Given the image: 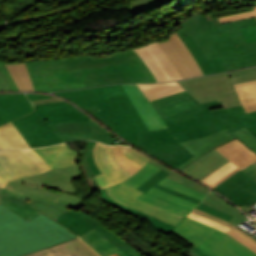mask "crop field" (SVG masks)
Returning a JSON list of instances; mask_svg holds the SVG:
<instances>
[{
	"mask_svg": "<svg viewBox=\"0 0 256 256\" xmlns=\"http://www.w3.org/2000/svg\"><path fill=\"white\" fill-rule=\"evenodd\" d=\"M33 111L24 93L0 94V125Z\"/></svg>",
	"mask_w": 256,
	"mask_h": 256,
	"instance_id": "obj_21",
	"label": "crop field"
},
{
	"mask_svg": "<svg viewBox=\"0 0 256 256\" xmlns=\"http://www.w3.org/2000/svg\"><path fill=\"white\" fill-rule=\"evenodd\" d=\"M226 110L241 120L245 126L256 136V111L246 113L242 105L228 108Z\"/></svg>",
	"mask_w": 256,
	"mask_h": 256,
	"instance_id": "obj_37",
	"label": "crop field"
},
{
	"mask_svg": "<svg viewBox=\"0 0 256 256\" xmlns=\"http://www.w3.org/2000/svg\"><path fill=\"white\" fill-rule=\"evenodd\" d=\"M156 44L173 64L182 79L203 75L197 62L176 33L171 35L168 41L156 42Z\"/></svg>",
	"mask_w": 256,
	"mask_h": 256,
	"instance_id": "obj_15",
	"label": "crop field"
},
{
	"mask_svg": "<svg viewBox=\"0 0 256 256\" xmlns=\"http://www.w3.org/2000/svg\"><path fill=\"white\" fill-rule=\"evenodd\" d=\"M35 91L70 90L111 83L157 82L134 50L109 58L90 56L61 60L25 62Z\"/></svg>",
	"mask_w": 256,
	"mask_h": 256,
	"instance_id": "obj_1",
	"label": "crop field"
},
{
	"mask_svg": "<svg viewBox=\"0 0 256 256\" xmlns=\"http://www.w3.org/2000/svg\"><path fill=\"white\" fill-rule=\"evenodd\" d=\"M158 184H161L163 186H166L168 188H171L173 190H176L178 192H181V193H184L186 195H189V196H192V197H195L197 199H204L206 195L200 193V192H197L189 187H186L178 182H175L167 177H165L163 180H161L160 182H158Z\"/></svg>",
	"mask_w": 256,
	"mask_h": 256,
	"instance_id": "obj_41",
	"label": "crop field"
},
{
	"mask_svg": "<svg viewBox=\"0 0 256 256\" xmlns=\"http://www.w3.org/2000/svg\"><path fill=\"white\" fill-rule=\"evenodd\" d=\"M24 256H99L78 237Z\"/></svg>",
	"mask_w": 256,
	"mask_h": 256,
	"instance_id": "obj_24",
	"label": "crop field"
},
{
	"mask_svg": "<svg viewBox=\"0 0 256 256\" xmlns=\"http://www.w3.org/2000/svg\"><path fill=\"white\" fill-rule=\"evenodd\" d=\"M79 237L101 256H106L116 250H119V248H117L94 228Z\"/></svg>",
	"mask_w": 256,
	"mask_h": 256,
	"instance_id": "obj_31",
	"label": "crop field"
},
{
	"mask_svg": "<svg viewBox=\"0 0 256 256\" xmlns=\"http://www.w3.org/2000/svg\"><path fill=\"white\" fill-rule=\"evenodd\" d=\"M27 157L41 170V172L47 170V164L39 157L37 153L31 149L22 150Z\"/></svg>",
	"mask_w": 256,
	"mask_h": 256,
	"instance_id": "obj_50",
	"label": "crop field"
},
{
	"mask_svg": "<svg viewBox=\"0 0 256 256\" xmlns=\"http://www.w3.org/2000/svg\"><path fill=\"white\" fill-rule=\"evenodd\" d=\"M203 105L179 117L164 121L169 129L141 133L140 150L175 168L193 157L177 142L198 138L226 127L231 132L244 127L242 122L225 109L214 112L208 110L222 105L221 102L215 101Z\"/></svg>",
	"mask_w": 256,
	"mask_h": 256,
	"instance_id": "obj_2",
	"label": "crop field"
},
{
	"mask_svg": "<svg viewBox=\"0 0 256 256\" xmlns=\"http://www.w3.org/2000/svg\"><path fill=\"white\" fill-rule=\"evenodd\" d=\"M73 237L43 213L28 223L0 205V256H21Z\"/></svg>",
	"mask_w": 256,
	"mask_h": 256,
	"instance_id": "obj_5",
	"label": "crop field"
},
{
	"mask_svg": "<svg viewBox=\"0 0 256 256\" xmlns=\"http://www.w3.org/2000/svg\"><path fill=\"white\" fill-rule=\"evenodd\" d=\"M235 167H237V166H235L233 163L230 162V163L224 165L222 168H220L216 172H214L212 175H210L206 179L202 180L201 182L209 186L212 183H214L216 180H218L219 178H221L222 176H224L225 174L230 172Z\"/></svg>",
	"mask_w": 256,
	"mask_h": 256,
	"instance_id": "obj_48",
	"label": "crop field"
},
{
	"mask_svg": "<svg viewBox=\"0 0 256 256\" xmlns=\"http://www.w3.org/2000/svg\"><path fill=\"white\" fill-rule=\"evenodd\" d=\"M253 9L254 10L247 11V12H242V13H238V14L220 17L219 20L221 23H223V22H228V21H233V20H238V19L254 17V16H256V7H254Z\"/></svg>",
	"mask_w": 256,
	"mask_h": 256,
	"instance_id": "obj_51",
	"label": "crop field"
},
{
	"mask_svg": "<svg viewBox=\"0 0 256 256\" xmlns=\"http://www.w3.org/2000/svg\"><path fill=\"white\" fill-rule=\"evenodd\" d=\"M240 170L238 167L236 169H234L233 171H231L230 173H228L227 175H225L224 177H222L221 179H219L218 181H216L214 184H212L210 187H214L217 184H219L221 181H223L225 178H227L228 176L232 175L233 173H235L236 171ZM226 180V179H225Z\"/></svg>",
	"mask_w": 256,
	"mask_h": 256,
	"instance_id": "obj_63",
	"label": "crop field"
},
{
	"mask_svg": "<svg viewBox=\"0 0 256 256\" xmlns=\"http://www.w3.org/2000/svg\"><path fill=\"white\" fill-rule=\"evenodd\" d=\"M198 209H201V210H203V211H206V212H209V213H211V214H214V215H216V216H218V217H220V218H222V219H224V220H226V221H228L229 219H231V217L230 216H228V215H226V214H224V213H222V212H220V211H217V210H215V209H213V208H211V207H208V206H206V205H204V204H200L198 207H197ZM208 213V214H209ZM213 215V216H214Z\"/></svg>",
	"mask_w": 256,
	"mask_h": 256,
	"instance_id": "obj_56",
	"label": "crop field"
},
{
	"mask_svg": "<svg viewBox=\"0 0 256 256\" xmlns=\"http://www.w3.org/2000/svg\"><path fill=\"white\" fill-rule=\"evenodd\" d=\"M139 200H142L144 202H147L152 205L158 206L160 208L166 209L168 211L174 212L176 214L182 215L184 217L190 212V210H188V209L182 208V207L172 204L170 202H167L162 199L152 197V196H149L146 194H144L142 197H140Z\"/></svg>",
	"mask_w": 256,
	"mask_h": 256,
	"instance_id": "obj_38",
	"label": "crop field"
},
{
	"mask_svg": "<svg viewBox=\"0 0 256 256\" xmlns=\"http://www.w3.org/2000/svg\"><path fill=\"white\" fill-rule=\"evenodd\" d=\"M66 141L93 139L111 144V135L106 129L91 119V122L50 124Z\"/></svg>",
	"mask_w": 256,
	"mask_h": 256,
	"instance_id": "obj_16",
	"label": "crop field"
},
{
	"mask_svg": "<svg viewBox=\"0 0 256 256\" xmlns=\"http://www.w3.org/2000/svg\"><path fill=\"white\" fill-rule=\"evenodd\" d=\"M19 91H33L32 83L24 63L7 64Z\"/></svg>",
	"mask_w": 256,
	"mask_h": 256,
	"instance_id": "obj_35",
	"label": "crop field"
},
{
	"mask_svg": "<svg viewBox=\"0 0 256 256\" xmlns=\"http://www.w3.org/2000/svg\"><path fill=\"white\" fill-rule=\"evenodd\" d=\"M181 40L198 62L204 75L227 71L222 57L207 59L192 35L182 37Z\"/></svg>",
	"mask_w": 256,
	"mask_h": 256,
	"instance_id": "obj_25",
	"label": "crop field"
},
{
	"mask_svg": "<svg viewBox=\"0 0 256 256\" xmlns=\"http://www.w3.org/2000/svg\"><path fill=\"white\" fill-rule=\"evenodd\" d=\"M240 207L256 209V162L214 187Z\"/></svg>",
	"mask_w": 256,
	"mask_h": 256,
	"instance_id": "obj_11",
	"label": "crop field"
},
{
	"mask_svg": "<svg viewBox=\"0 0 256 256\" xmlns=\"http://www.w3.org/2000/svg\"><path fill=\"white\" fill-rule=\"evenodd\" d=\"M26 95L28 96V98L30 100L46 98V97H52V96L41 95V94H32V93H27Z\"/></svg>",
	"mask_w": 256,
	"mask_h": 256,
	"instance_id": "obj_62",
	"label": "crop field"
},
{
	"mask_svg": "<svg viewBox=\"0 0 256 256\" xmlns=\"http://www.w3.org/2000/svg\"><path fill=\"white\" fill-rule=\"evenodd\" d=\"M169 0H134L130 2L132 5L126 7L132 16L153 8L161 3ZM162 5V4H161Z\"/></svg>",
	"mask_w": 256,
	"mask_h": 256,
	"instance_id": "obj_42",
	"label": "crop field"
},
{
	"mask_svg": "<svg viewBox=\"0 0 256 256\" xmlns=\"http://www.w3.org/2000/svg\"><path fill=\"white\" fill-rule=\"evenodd\" d=\"M167 177H169V178H171V179H173V180H175V181H178V182H180V183H182V184H184V185H186V186H189V187H191V188H193V189H195V190H197V191H200V192H202V193H204V194L207 195V192H204V191H202V190H200V189H198V188H196V187H194V186H192V185H190V184H188V183L182 181V180H181L180 178H178V177H175V176H173V175H171V174H169Z\"/></svg>",
	"mask_w": 256,
	"mask_h": 256,
	"instance_id": "obj_60",
	"label": "crop field"
},
{
	"mask_svg": "<svg viewBox=\"0 0 256 256\" xmlns=\"http://www.w3.org/2000/svg\"><path fill=\"white\" fill-rule=\"evenodd\" d=\"M167 174V172H165L164 170H160L159 172H157L155 175H153L151 178H149L146 182H144L142 185H140L137 189L142 191V192H146L149 188H151L152 186L156 187V188H159L161 190H164V191H167L169 193H172V194H175V195H178V196H181L183 198H186V199H189L197 204L200 203V200H197V199H194L192 197H189V196H186V195H183L181 193H178L176 191H173L171 189H168L166 187H163L161 185H158L156 184L158 181H160L161 179H163ZM188 200V201H189Z\"/></svg>",
	"mask_w": 256,
	"mask_h": 256,
	"instance_id": "obj_36",
	"label": "crop field"
},
{
	"mask_svg": "<svg viewBox=\"0 0 256 256\" xmlns=\"http://www.w3.org/2000/svg\"><path fill=\"white\" fill-rule=\"evenodd\" d=\"M128 96L142 117L149 130L165 128L166 125L137 88L136 85H123Z\"/></svg>",
	"mask_w": 256,
	"mask_h": 256,
	"instance_id": "obj_23",
	"label": "crop field"
},
{
	"mask_svg": "<svg viewBox=\"0 0 256 256\" xmlns=\"http://www.w3.org/2000/svg\"><path fill=\"white\" fill-rule=\"evenodd\" d=\"M188 217L193 218V219H196V220L201 221V222H204V223L209 224V225H211V226L217 227V228L223 230L224 232L227 231V230H229L228 228H225V227H222V226H220V225H217V224H215V223H213V222H210V221H207V220H204V219H201V218L192 216V215H190V214L188 215Z\"/></svg>",
	"mask_w": 256,
	"mask_h": 256,
	"instance_id": "obj_59",
	"label": "crop field"
},
{
	"mask_svg": "<svg viewBox=\"0 0 256 256\" xmlns=\"http://www.w3.org/2000/svg\"><path fill=\"white\" fill-rule=\"evenodd\" d=\"M93 155L98 167L103 172L94 176L100 189L115 185L133 175L118 164L114 157L113 146L96 142Z\"/></svg>",
	"mask_w": 256,
	"mask_h": 256,
	"instance_id": "obj_14",
	"label": "crop field"
},
{
	"mask_svg": "<svg viewBox=\"0 0 256 256\" xmlns=\"http://www.w3.org/2000/svg\"><path fill=\"white\" fill-rule=\"evenodd\" d=\"M99 193H100V197H101V199H102L103 201H105V202L108 203V204L115 205V206L119 207L120 209H122V210H124V211H126V212H128V213H130V214H132L133 216H135L137 213H139V214H143V215H146V216L151 217V215H147V214H144V213L135 211V210H133V209H130V208H128V207H126V206L120 204V203H117V202L113 201V200L106 194L105 190H100Z\"/></svg>",
	"mask_w": 256,
	"mask_h": 256,
	"instance_id": "obj_49",
	"label": "crop field"
},
{
	"mask_svg": "<svg viewBox=\"0 0 256 256\" xmlns=\"http://www.w3.org/2000/svg\"><path fill=\"white\" fill-rule=\"evenodd\" d=\"M236 137L256 153V137L246 127L233 133H231L229 129L226 128L199 139L179 142V144L182 145L194 157L178 166L176 169L180 171L183 170L188 165L209 152L211 149L225 144Z\"/></svg>",
	"mask_w": 256,
	"mask_h": 256,
	"instance_id": "obj_10",
	"label": "crop field"
},
{
	"mask_svg": "<svg viewBox=\"0 0 256 256\" xmlns=\"http://www.w3.org/2000/svg\"><path fill=\"white\" fill-rule=\"evenodd\" d=\"M80 177L82 175L78 166H74L13 180L8 182L6 187L57 200L61 193L25 186L23 183L39 184L77 195L78 191L73 186L72 179Z\"/></svg>",
	"mask_w": 256,
	"mask_h": 256,
	"instance_id": "obj_9",
	"label": "crop field"
},
{
	"mask_svg": "<svg viewBox=\"0 0 256 256\" xmlns=\"http://www.w3.org/2000/svg\"><path fill=\"white\" fill-rule=\"evenodd\" d=\"M2 196L4 201L2 205L28 222L38 216L40 213H42L23 199L15 196L10 191L6 190L5 188L3 190Z\"/></svg>",
	"mask_w": 256,
	"mask_h": 256,
	"instance_id": "obj_26",
	"label": "crop field"
},
{
	"mask_svg": "<svg viewBox=\"0 0 256 256\" xmlns=\"http://www.w3.org/2000/svg\"><path fill=\"white\" fill-rule=\"evenodd\" d=\"M235 165H237L241 170L256 161V154L252 151L242 155L239 152L234 154L233 156L227 158Z\"/></svg>",
	"mask_w": 256,
	"mask_h": 256,
	"instance_id": "obj_45",
	"label": "crop field"
},
{
	"mask_svg": "<svg viewBox=\"0 0 256 256\" xmlns=\"http://www.w3.org/2000/svg\"><path fill=\"white\" fill-rule=\"evenodd\" d=\"M87 143H88V146H87L86 152L84 154L83 162H84L85 167H86V169H87V171H88V173L91 177L93 175L101 173V171L96 166L95 161H94L93 156H92V151H93L95 141H87Z\"/></svg>",
	"mask_w": 256,
	"mask_h": 256,
	"instance_id": "obj_43",
	"label": "crop field"
},
{
	"mask_svg": "<svg viewBox=\"0 0 256 256\" xmlns=\"http://www.w3.org/2000/svg\"><path fill=\"white\" fill-rule=\"evenodd\" d=\"M109 256H118L116 253L112 254V255H109Z\"/></svg>",
	"mask_w": 256,
	"mask_h": 256,
	"instance_id": "obj_65",
	"label": "crop field"
},
{
	"mask_svg": "<svg viewBox=\"0 0 256 256\" xmlns=\"http://www.w3.org/2000/svg\"><path fill=\"white\" fill-rule=\"evenodd\" d=\"M158 170H160V168H158L150 163H147L141 170H139L137 173H135L132 177H130L126 181L130 185H132L134 188H137L140 184H142L144 181H146L149 177H151Z\"/></svg>",
	"mask_w": 256,
	"mask_h": 256,
	"instance_id": "obj_39",
	"label": "crop field"
},
{
	"mask_svg": "<svg viewBox=\"0 0 256 256\" xmlns=\"http://www.w3.org/2000/svg\"><path fill=\"white\" fill-rule=\"evenodd\" d=\"M30 148L12 122L0 126V150Z\"/></svg>",
	"mask_w": 256,
	"mask_h": 256,
	"instance_id": "obj_28",
	"label": "crop field"
},
{
	"mask_svg": "<svg viewBox=\"0 0 256 256\" xmlns=\"http://www.w3.org/2000/svg\"><path fill=\"white\" fill-rule=\"evenodd\" d=\"M150 103L163 121L202 106L198 100L186 91Z\"/></svg>",
	"mask_w": 256,
	"mask_h": 256,
	"instance_id": "obj_18",
	"label": "crop field"
},
{
	"mask_svg": "<svg viewBox=\"0 0 256 256\" xmlns=\"http://www.w3.org/2000/svg\"><path fill=\"white\" fill-rule=\"evenodd\" d=\"M150 163H152V164H154V165H156V166H158V167H160V168L166 170L167 172H169V173H171V174H173V175H176V176L182 178L184 181H186V182H188V183H190V184H192V185H194V186H196V187H198V188H200V189H202V190H204V191L207 190V188H205V187H203V186H201V185H199V184H197V183H195V182H193V181H191V180H189V179H187V178H185V177L179 175L178 173H176V172H174V171H172V170L166 168L165 166H163V165H161V164H159V163H157V162H155V161H153V160H152Z\"/></svg>",
	"mask_w": 256,
	"mask_h": 256,
	"instance_id": "obj_55",
	"label": "crop field"
},
{
	"mask_svg": "<svg viewBox=\"0 0 256 256\" xmlns=\"http://www.w3.org/2000/svg\"><path fill=\"white\" fill-rule=\"evenodd\" d=\"M4 185L2 184V182L0 181V187L2 188Z\"/></svg>",
	"mask_w": 256,
	"mask_h": 256,
	"instance_id": "obj_66",
	"label": "crop field"
},
{
	"mask_svg": "<svg viewBox=\"0 0 256 256\" xmlns=\"http://www.w3.org/2000/svg\"><path fill=\"white\" fill-rule=\"evenodd\" d=\"M55 220L60 222L62 225L70 229L78 236L94 227L129 256L140 255L133 247L124 242L122 239H120L117 235L104 227L98 221L77 210L71 209L69 212L62 214L59 218Z\"/></svg>",
	"mask_w": 256,
	"mask_h": 256,
	"instance_id": "obj_13",
	"label": "crop field"
},
{
	"mask_svg": "<svg viewBox=\"0 0 256 256\" xmlns=\"http://www.w3.org/2000/svg\"><path fill=\"white\" fill-rule=\"evenodd\" d=\"M123 153L127 156L128 159L139 164L142 167L147 162L152 160V159L148 158L147 156L143 155L142 153L138 152L137 150L130 148V147L123 146Z\"/></svg>",
	"mask_w": 256,
	"mask_h": 256,
	"instance_id": "obj_47",
	"label": "crop field"
},
{
	"mask_svg": "<svg viewBox=\"0 0 256 256\" xmlns=\"http://www.w3.org/2000/svg\"><path fill=\"white\" fill-rule=\"evenodd\" d=\"M132 186V185H131ZM126 181L106 189L114 200L138 211L151 214L165 222L177 225L184 217L137 200L143 193L131 187Z\"/></svg>",
	"mask_w": 256,
	"mask_h": 256,
	"instance_id": "obj_12",
	"label": "crop field"
},
{
	"mask_svg": "<svg viewBox=\"0 0 256 256\" xmlns=\"http://www.w3.org/2000/svg\"><path fill=\"white\" fill-rule=\"evenodd\" d=\"M33 150L45 160L50 170L76 165L78 156L81 155L70 149L66 143Z\"/></svg>",
	"mask_w": 256,
	"mask_h": 256,
	"instance_id": "obj_22",
	"label": "crop field"
},
{
	"mask_svg": "<svg viewBox=\"0 0 256 256\" xmlns=\"http://www.w3.org/2000/svg\"><path fill=\"white\" fill-rule=\"evenodd\" d=\"M89 114L99 110L97 106L85 109Z\"/></svg>",
	"mask_w": 256,
	"mask_h": 256,
	"instance_id": "obj_64",
	"label": "crop field"
},
{
	"mask_svg": "<svg viewBox=\"0 0 256 256\" xmlns=\"http://www.w3.org/2000/svg\"><path fill=\"white\" fill-rule=\"evenodd\" d=\"M220 153H222L225 157L221 160L217 161L215 164H213L208 169L204 170L201 174H199L197 177L193 178L195 180H202L209 176L211 173L219 169L221 166L229 162L226 158L231 156L232 154L236 152H241L242 154L250 151L249 148H247L241 141H239L237 138L225 145H222L218 148H216Z\"/></svg>",
	"mask_w": 256,
	"mask_h": 256,
	"instance_id": "obj_27",
	"label": "crop field"
},
{
	"mask_svg": "<svg viewBox=\"0 0 256 256\" xmlns=\"http://www.w3.org/2000/svg\"><path fill=\"white\" fill-rule=\"evenodd\" d=\"M56 94L73 101L81 108L97 105L101 111L91 115L135 147L138 146L139 131L148 130L122 85L86 88Z\"/></svg>",
	"mask_w": 256,
	"mask_h": 256,
	"instance_id": "obj_4",
	"label": "crop field"
},
{
	"mask_svg": "<svg viewBox=\"0 0 256 256\" xmlns=\"http://www.w3.org/2000/svg\"><path fill=\"white\" fill-rule=\"evenodd\" d=\"M147 193L155 195V196L160 197V198H163L165 200H168L170 202H173L175 204H178V205L183 206L185 208H188L190 210H193L197 206V204H195L191 201H188V200L183 199L181 197H178V196L169 194L167 192L161 191V190L156 189L154 187H152L150 190H148Z\"/></svg>",
	"mask_w": 256,
	"mask_h": 256,
	"instance_id": "obj_40",
	"label": "crop field"
},
{
	"mask_svg": "<svg viewBox=\"0 0 256 256\" xmlns=\"http://www.w3.org/2000/svg\"><path fill=\"white\" fill-rule=\"evenodd\" d=\"M179 83L201 103L218 100L222 101L225 108L241 104L228 73L203 76Z\"/></svg>",
	"mask_w": 256,
	"mask_h": 256,
	"instance_id": "obj_8",
	"label": "crop field"
},
{
	"mask_svg": "<svg viewBox=\"0 0 256 256\" xmlns=\"http://www.w3.org/2000/svg\"><path fill=\"white\" fill-rule=\"evenodd\" d=\"M2 189L0 188V191H1ZM0 203H1V197H0Z\"/></svg>",
	"mask_w": 256,
	"mask_h": 256,
	"instance_id": "obj_67",
	"label": "crop field"
},
{
	"mask_svg": "<svg viewBox=\"0 0 256 256\" xmlns=\"http://www.w3.org/2000/svg\"><path fill=\"white\" fill-rule=\"evenodd\" d=\"M0 91H11L3 76L0 74Z\"/></svg>",
	"mask_w": 256,
	"mask_h": 256,
	"instance_id": "obj_61",
	"label": "crop field"
},
{
	"mask_svg": "<svg viewBox=\"0 0 256 256\" xmlns=\"http://www.w3.org/2000/svg\"><path fill=\"white\" fill-rule=\"evenodd\" d=\"M114 151H115V157L118 160L119 164L123 166L125 169L130 171L131 173L137 172L140 168L139 165L131 162L126 158V156L123 155L122 153V146H114Z\"/></svg>",
	"mask_w": 256,
	"mask_h": 256,
	"instance_id": "obj_46",
	"label": "crop field"
},
{
	"mask_svg": "<svg viewBox=\"0 0 256 256\" xmlns=\"http://www.w3.org/2000/svg\"><path fill=\"white\" fill-rule=\"evenodd\" d=\"M192 212L231 227L232 229L226 233L256 252V240L252 239L251 237H249L248 235L243 233L241 230H239L235 226L231 225L230 223H228L216 216H213V215L203 212L201 210L195 209Z\"/></svg>",
	"mask_w": 256,
	"mask_h": 256,
	"instance_id": "obj_32",
	"label": "crop field"
},
{
	"mask_svg": "<svg viewBox=\"0 0 256 256\" xmlns=\"http://www.w3.org/2000/svg\"><path fill=\"white\" fill-rule=\"evenodd\" d=\"M148 222H150L153 227H155V228H157V229L163 231V232L166 233V234H167L171 229H173V228L175 227V226L170 225V224H168V223H165V222H163V221H161V220H159V219H157V218H155V217H153V216L148 219Z\"/></svg>",
	"mask_w": 256,
	"mask_h": 256,
	"instance_id": "obj_52",
	"label": "crop field"
},
{
	"mask_svg": "<svg viewBox=\"0 0 256 256\" xmlns=\"http://www.w3.org/2000/svg\"><path fill=\"white\" fill-rule=\"evenodd\" d=\"M0 72L4 76L5 80L7 81L8 85L12 89V91H18L6 65L4 63H0Z\"/></svg>",
	"mask_w": 256,
	"mask_h": 256,
	"instance_id": "obj_54",
	"label": "crop field"
},
{
	"mask_svg": "<svg viewBox=\"0 0 256 256\" xmlns=\"http://www.w3.org/2000/svg\"><path fill=\"white\" fill-rule=\"evenodd\" d=\"M184 254H186L188 256H208L207 254H205L204 252H202L201 250H199L195 246H193L190 250H188Z\"/></svg>",
	"mask_w": 256,
	"mask_h": 256,
	"instance_id": "obj_58",
	"label": "crop field"
},
{
	"mask_svg": "<svg viewBox=\"0 0 256 256\" xmlns=\"http://www.w3.org/2000/svg\"><path fill=\"white\" fill-rule=\"evenodd\" d=\"M228 73L234 84L256 80V67L244 70L231 71Z\"/></svg>",
	"mask_w": 256,
	"mask_h": 256,
	"instance_id": "obj_44",
	"label": "crop field"
},
{
	"mask_svg": "<svg viewBox=\"0 0 256 256\" xmlns=\"http://www.w3.org/2000/svg\"><path fill=\"white\" fill-rule=\"evenodd\" d=\"M35 108L36 112L12 121L31 147L63 142L48 123L90 121V117L67 102Z\"/></svg>",
	"mask_w": 256,
	"mask_h": 256,
	"instance_id": "obj_6",
	"label": "crop field"
},
{
	"mask_svg": "<svg viewBox=\"0 0 256 256\" xmlns=\"http://www.w3.org/2000/svg\"><path fill=\"white\" fill-rule=\"evenodd\" d=\"M247 112L256 110V81L234 85Z\"/></svg>",
	"mask_w": 256,
	"mask_h": 256,
	"instance_id": "obj_33",
	"label": "crop field"
},
{
	"mask_svg": "<svg viewBox=\"0 0 256 256\" xmlns=\"http://www.w3.org/2000/svg\"><path fill=\"white\" fill-rule=\"evenodd\" d=\"M222 157V154L213 149L181 172L193 178Z\"/></svg>",
	"mask_w": 256,
	"mask_h": 256,
	"instance_id": "obj_34",
	"label": "crop field"
},
{
	"mask_svg": "<svg viewBox=\"0 0 256 256\" xmlns=\"http://www.w3.org/2000/svg\"><path fill=\"white\" fill-rule=\"evenodd\" d=\"M63 100V99H62ZM62 100L52 97V98H46V99H40V100H34L32 101L33 105L37 104H45V103H53V102H61Z\"/></svg>",
	"mask_w": 256,
	"mask_h": 256,
	"instance_id": "obj_57",
	"label": "crop field"
},
{
	"mask_svg": "<svg viewBox=\"0 0 256 256\" xmlns=\"http://www.w3.org/2000/svg\"><path fill=\"white\" fill-rule=\"evenodd\" d=\"M203 203L233 216L234 218L228 222L232 223L235 226L247 220V218L239 210H237L229 201L225 200L224 198L218 196L213 192H210L207 195V197L203 200Z\"/></svg>",
	"mask_w": 256,
	"mask_h": 256,
	"instance_id": "obj_30",
	"label": "crop field"
},
{
	"mask_svg": "<svg viewBox=\"0 0 256 256\" xmlns=\"http://www.w3.org/2000/svg\"><path fill=\"white\" fill-rule=\"evenodd\" d=\"M11 191L17 196L33 203L54 219L59 217L62 213L70 210L71 208L79 210V208L84 203L83 200L77 198V196L68 193L61 194L58 200L54 201L27 193H22L14 190Z\"/></svg>",
	"mask_w": 256,
	"mask_h": 256,
	"instance_id": "obj_19",
	"label": "crop field"
},
{
	"mask_svg": "<svg viewBox=\"0 0 256 256\" xmlns=\"http://www.w3.org/2000/svg\"><path fill=\"white\" fill-rule=\"evenodd\" d=\"M256 25V17L220 24L212 15L184 23L179 37L193 34L207 58L222 55L227 70L256 65V42L245 44L238 27Z\"/></svg>",
	"mask_w": 256,
	"mask_h": 256,
	"instance_id": "obj_3",
	"label": "crop field"
},
{
	"mask_svg": "<svg viewBox=\"0 0 256 256\" xmlns=\"http://www.w3.org/2000/svg\"><path fill=\"white\" fill-rule=\"evenodd\" d=\"M39 172L21 150L0 151V180L3 184L10 179Z\"/></svg>",
	"mask_w": 256,
	"mask_h": 256,
	"instance_id": "obj_17",
	"label": "crop field"
},
{
	"mask_svg": "<svg viewBox=\"0 0 256 256\" xmlns=\"http://www.w3.org/2000/svg\"><path fill=\"white\" fill-rule=\"evenodd\" d=\"M246 43L256 41V26L239 28Z\"/></svg>",
	"mask_w": 256,
	"mask_h": 256,
	"instance_id": "obj_53",
	"label": "crop field"
},
{
	"mask_svg": "<svg viewBox=\"0 0 256 256\" xmlns=\"http://www.w3.org/2000/svg\"><path fill=\"white\" fill-rule=\"evenodd\" d=\"M148 101L184 91L178 82L137 85Z\"/></svg>",
	"mask_w": 256,
	"mask_h": 256,
	"instance_id": "obj_29",
	"label": "crop field"
},
{
	"mask_svg": "<svg viewBox=\"0 0 256 256\" xmlns=\"http://www.w3.org/2000/svg\"><path fill=\"white\" fill-rule=\"evenodd\" d=\"M150 67L158 82L180 80L172 64L163 55L155 43L135 50Z\"/></svg>",
	"mask_w": 256,
	"mask_h": 256,
	"instance_id": "obj_20",
	"label": "crop field"
},
{
	"mask_svg": "<svg viewBox=\"0 0 256 256\" xmlns=\"http://www.w3.org/2000/svg\"><path fill=\"white\" fill-rule=\"evenodd\" d=\"M171 232L210 256H256V253L221 230L186 217Z\"/></svg>",
	"mask_w": 256,
	"mask_h": 256,
	"instance_id": "obj_7",
	"label": "crop field"
}]
</instances>
